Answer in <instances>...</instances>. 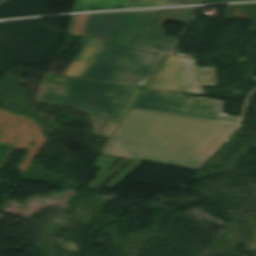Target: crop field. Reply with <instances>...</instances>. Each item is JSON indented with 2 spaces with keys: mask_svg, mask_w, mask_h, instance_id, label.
<instances>
[{
  "mask_svg": "<svg viewBox=\"0 0 256 256\" xmlns=\"http://www.w3.org/2000/svg\"><path fill=\"white\" fill-rule=\"evenodd\" d=\"M234 1H243V0H234Z\"/></svg>",
  "mask_w": 256,
  "mask_h": 256,
  "instance_id": "obj_16",
  "label": "crop field"
},
{
  "mask_svg": "<svg viewBox=\"0 0 256 256\" xmlns=\"http://www.w3.org/2000/svg\"><path fill=\"white\" fill-rule=\"evenodd\" d=\"M135 109L238 125L240 118L222 114V102L178 93L143 90Z\"/></svg>",
  "mask_w": 256,
  "mask_h": 256,
  "instance_id": "obj_4",
  "label": "crop field"
},
{
  "mask_svg": "<svg viewBox=\"0 0 256 256\" xmlns=\"http://www.w3.org/2000/svg\"><path fill=\"white\" fill-rule=\"evenodd\" d=\"M224 15L226 17L256 20V4L228 5ZM249 32H256V21Z\"/></svg>",
  "mask_w": 256,
  "mask_h": 256,
  "instance_id": "obj_10",
  "label": "crop field"
},
{
  "mask_svg": "<svg viewBox=\"0 0 256 256\" xmlns=\"http://www.w3.org/2000/svg\"><path fill=\"white\" fill-rule=\"evenodd\" d=\"M123 12L72 16L69 34L107 39Z\"/></svg>",
  "mask_w": 256,
  "mask_h": 256,
  "instance_id": "obj_7",
  "label": "crop field"
},
{
  "mask_svg": "<svg viewBox=\"0 0 256 256\" xmlns=\"http://www.w3.org/2000/svg\"><path fill=\"white\" fill-rule=\"evenodd\" d=\"M164 0L132 1L128 8L164 6Z\"/></svg>",
  "mask_w": 256,
  "mask_h": 256,
  "instance_id": "obj_12",
  "label": "crop field"
},
{
  "mask_svg": "<svg viewBox=\"0 0 256 256\" xmlns=\"http://www.w3.org/2000/svg\"><path fill=\"white\" fill-rule=\"evenodd\" d=\"M103 42L104 40L84 37L82 50L65 75L80 78Z\"/></svg>",
  "mask_w": 256,
  "mask_h": 256,
  "instance_id": "obj_8",
  "label": "crop field"
},
{
  "mask_svg": "<svg viewBox=\"0 0 256 256\" xmlns=\"http://www.w3.org/2000/svg\"><path fill=\"white\" fill-rule=\"evenodd\" d=\"M196 8L165 9L158 17L154 25L163 26L166 20L188 23Z\"/></svg>",
  "mask_w": 256,
  "mask_h": 256,
  "instance_id": "obj_11",
  "label": "crop field"
},
{
  "mask_svg": "<svg viewBox=\"0 0 256 256\" xmlns=\"http://www.w3.org/2000/svg\"><path fill=\"white\" fill-rule=\"evenodd\" d=\"M159 12H124L107 41L168 51L175 39L165 37L163 27H148Z\"/></svg>",
  "mask_w": 256,
  "mask_h": 256,
  "instance_id": "obj_6",
  "label": "crop field"
},
{
  "mask_svg": "<svg viewBox=\"0 0 256 256\" xmlns=\"http://www.w3.org/2000/svg\"><path fill=\"white\" fill-rule=\"evenodd\" d=\"M132 0H76L73 11L126 8Z\"/></svg>",
  "mask_w": 256,
  "mask_h": 256,
  "instance_id": "obj_9",
  "label": "crop field"
},
{
  "mask_svg": "<svg viewBox=\"0 0 256 256\" xmlns=\"http://www.w3.org/2000/svg\"><path fill=\"white\" fill-rule=\"evenodd\" d=\"M234 125L131 109L104 151L107 154L196 169L210 141Z\"/></svg>",
  "mask_w": 256,
  "mask_h": 256,
  "instance_id": "obj_1",
  "label": "crop field"
},
{
  "mask_svg": "<svg viewBox=\"0 0 256 256\" xmlns=\"http://www.w3.org/2000/svg\"><path fill=\"white\" fill-rule=\"evenodd\" d=\"M224 1H230V0H203L201 3H204V2H224Z\"/></svg>",
  "mask_w": 256,
  "mask_h": 256,
  "instance_id": "obj_14",
  "label": "crop field"
},
{
  "mask_svg": "<svg viewBox=\"0 0 256 256\" xmlns=\"http://www.w3.org/2000/svg\"><path fill=\"white\" fill-rule=\"evenodd\" d=\"M165 54L104 42L81 78L144 86Z\"/></svg>",
  "mask_w": 256,
  "mask_h": 256,
  "instance_id": "obj_3",
  "label": "crop field"
},
{
  "mask_svg": "<svg viewBox=\"0 0 256 256\" xmlns=\"http://www.w3.org/2000/svg\"><path fill=\"white\" fill-rule=\"evenodd\" d=\"M173 5H183L180 3H173V2H168L167 6H173Z\"/></svg>",
  "mask_w": 256,
  "mask_h": 256,
  "instance_id": "obj_15",
  "label": "crop field"
},
{
  "mask_svg": "<svg viewBox=\"0 0 256 256\" xmlns=\"http://www.w3.org/2000/svg\"><path fill=\"white\" fill-rule=\"evenodd\" d=\"M38 97L90 115L96 136L110 138L139 92L138 87L47 74ZM131 107V106H130Z\"/></svg>",
  "mask_w": 256,
  "mask_h": 256,
  "instance_id": "obj_2",
  "label": "crop field"
},
{
  "mask_svg": "<svg viewBox=\"0 0 256 256\" xmlns=\"http://www.w3.org/2000/svg\"><path fill=\"white\" fill-rule=\"evenodd\" d=\"M173 1H181V2H186V3H199L202 0H173Z\"/></svg>",
  "mask_w": 256,
  "mask_h": 256,
  "instance_id": "obj_13",
  "label": "crop field"
},
{
  "mask_svg": "<svg viewBox=\"0 0 256 256\" xmlns=\"http://www.w3.org/2000/svg\"><path fill=\"white\" fill-rule=\"evenodd\" d=\"M215 73L197 67L194 59L166 55L145 89L205 95L202 85L217 86Z\"/></svg>",
  "mask_w": 256,
  "mask_h": 256,
  "instance_id": "obj_5",
  "label": "crop field"
}]
</instances>
